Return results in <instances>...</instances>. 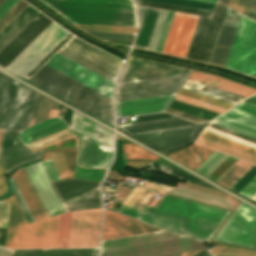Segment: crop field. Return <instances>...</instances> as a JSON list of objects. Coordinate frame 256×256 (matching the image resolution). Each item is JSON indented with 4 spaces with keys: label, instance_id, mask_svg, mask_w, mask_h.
Here are the masks:
<instances>
[{
    "label": "crop field",
    "instance_id": "1",
    "mask_svg": "<svg viewBox=\"0 0 256 256\" xmlns=\"http://www.w3.org/2000/svg\"><path fill=\"white\" fill-rule=\"evenodd\" d=\"M228 213L164 194L155 208L146 206L138 219L170 232L208 241Z\"/></svg>",
    "mask_w": 256,
    "mask_h": 256
},
{
    "label": "crop field",
    "instance_id": "2",
    "mask_svg": "<svg viewBox=\"0 0 256 256\" xmlns=\"http://www.w3.org/2000/svg\"><path fill=\"white\" fill-rule=\"evenodd\" d=\"M44 91L113 125V100L42 65L28 80Z\"/></svg>",
    "mask_w": 256,
    "mask_h": 256
},
{
    "label": "crop field",
    "instance_id": "3",
    "mask_svg": "<svg viewBox=\"0 0 256 256\" xmlns=\"http://www.w3.org/2000/svg\"><path fill=\"white\" fill-rule=\"evenodd\" d=\"M202 248L197 240L159 231L101 241L100 256H163Z\"/></svg>",
    "mask_w": 256,
    "mask_h": 256
},
{
    "label": "crop field",
    "instance_id": "4",
    "mask_svg": "<svg viewBox=\"0 0 256 256\" xmlns=\"http://www.w3.org/2000/svg\"><path fill=\"white\" fill-rule=\"evenodd\" d=\"M73 24L137 27L134 6L42 0Z\"/></svg>",
    "mask_w": 256,
    "mask_h": 256
},
{
    "label": "crop field",
    "instance_id": "5",
    "mask_svg": "<svg viewBox=\"0 0 256 256\" xmlns=\"http://www.w3.org/2000/svg\"><path fill=\"white\" fill-rule=\"evenodd\" d=\"M59 219L60 215L28 225L12 194L5 247H56Z\"/></svg>",
    "mask_w": 256,
    "mask_h": 256
},
{
    "label": "crop field",
    "instance_id": "6",
    "mask_svg": "<svg viewBox=\"0 0 256 256\" xmlns=\"http://www.w3.org/2000/svg\"><path fill=\"white\" fill-rule=\"evenodd\" d=\"M197 123L179 118H168L142 123L119 125V129L141 142L163 152L188 142Z\"/></svg>",
    "mask_w": 256,
    "mask_h": 256
},
{
    "label": "crop field",
    "instance_id": "7",
    "mask_svg": "<svg viewBox=\"0 0 256 256\" xmlns=\"http://www.w3.org/2000/svg\"><path fill=\"white\" fill-rule=\"evenodd\" d=\"M40 12L27 6L4 30L0 32V50L4 48ZM27 25L4 49L0 51V66L6 67L52 21L41 13Z\"/></svg>",
    "mask_w": 256,
    "mask_h": 256
},
{
    "label": "crop field",
    "instance_id": "8",
    "mask_svg": "<svg viewBox=\"0 0 256 256\" xmlns=\"http://www.w3.org/2000/svg\"><path fill=\"white\" fill-rule=\"evenodd\" d=\"M34 92L0 73V129L21 130L27 127Z\"/></svg>",
    "mask_w": 256,
    "mask_h": 256
},
{
    "label": "crop field",
    "instance_id": "9",
    "mask_svg": "<svg viewBox=\"0 0 256 256\" xmlns=\"http://www.w3.org/2000/svg\"><path fill=\"white\" fill-rule=\"evenodd\" d=\"M53 22L6 69L26 77L70 34Z\"/></svg>",
    "mask_w": 256,
    "mask_h": 256
},
{
    "label": "crop field",
    "instance_id": "10",
    "mask_svg": "<svg viewBox=\"0 0 256 256\" xmlns=\"http://www.w3.org/2000/svg\"><path fill=\"white\" fill-rule=\"evenodd\" d=\"M56 52L100 74L101 76L116 82L123 63L90 46L89 44L71 37ZM94 58H91V57Z\"/></svg>",
    "mask_w": 256,
    "mask_h": 256
},
{
    "label": "crop field",
    "instance_id": "11",
    "mask_svg": "<svg viewBox=\"0 0 256 256\" xmlns=\"http://www.w3.org/2000/svg\"><path fill=\"white\" fill-rule=\"evenodd\" d=\"M225 67L256 75V22L241 16Z\"/></svg>",
    "mask_w": 256,
    "mask_h": 256
},
{
    "label": "crop field",
    "instance_id": "12",
    "mask_svg": "<svg viewBox=\"0 0 256 256\" xmlns=\"http://www.w3.org/2000/svg\"><path fill=\"white\" fill-rule=\"evenodd\" d=\"M226 8L218 2L213 19L198 17L185 58L208 63Z\"/></svg>",
    "mask_w": 256,
    "mask_h": 256
},
{
    "label": "crop field",
    "instance_id": "13",
    "mask_svg": "<svg viewBox=\"0 0 256 256\" xmlns=\"http://www.w3.org/2000/svg\"><path fill=\"white\" fill-rule=\"evenodd\" d=\"M215 239L256 247V209L241 202Z\"/></svg>",
    "mask_w": 256,
    "mask_h": 256
},
{
    "label": "crop field",
    "instance_id": "14",
    "mask_svg": "<svg viewBox=\"0 0 256 256\" xmlns=\"http://www.w3.org/2000/svg\"><path fill=\"white\" fill-rule=\"evenodd\" d=\"M44 64L113 99L112 92L115 83L101 77L70 59L55 52Z\"/></svg>",
    "mask_w": 256,
    "mask_h": 256
},
{
    "label": "crop field",
    "instance_id": "15",
    "mask_svg": "<svg viewBox=\"0 0 256 256\" xmlns=\"http://www.w3.org/2000/svg\"><path fill=\"white\" fill-rule=\"evenodd\" d=\"M191 70L130 56L118 84L190 74Z\"/></svg>",
    "mask_w": 256,
    "mask_h": 256
},
{
    "label": "crop field",
    "instance_id": "16",
    "mask_svg": "<svg viewBox=\"0 0 256 256\" xmlns=\"http://www.w3.org/2000/svg\"><path fill=\"white\" fill-rule=\"evenodd\" d=\"M187 77L188 75L118 85L116 102L176 93Z\"/></svg>",
    "mask_w": 256,
    "mask_h": 256
},
{
    "label": "crop field",
    "instance_id": "17",
    "mask_svg": "<svg viewBox=\"0 0 256 256\" xmlns=\"http://www.w3.org/2000/svg\"><path fill=\"white\" fill-rule=\"evenodd\" d=\"M102 209L72 212L69 247H97Z\"/></svg>",
    "mask_w": 256,
    "mask_h": 256
},
{
    "label": "crop field",
    "instance_id": "18",
    "mask_svg": "<svg viewBox=\"0 0 256 256\" xmlns=\"http://www.w3.org/2000/svg\"><path fill=\"white\" fill-rule=\"evenodd\" d=\"M197 17L195 15L174 13L163 53L185 57Z\"/></svg>",
    "mask_w": 256,
    "mask_h": 256
},
{
    "label": "crop field",
    "instance_id": "19",
    "mask_svg": "<svg viewBox=\"0 0 256 256\" xmlns=\"http://www.w3.org/2000/svg\"><path fill=\"white\" fill-rule=\"evenodd\" d=\"M80 140L77 163L82 166L107 168L112 157V148L71 129Z\"/></svg>",
    "mask_w": 256,
    "mask_h": 256
},
{
    "label": "crop field",
    "instance_id": "20",
    "mask_svg": "<svg viewBox=\"0 0 256 256\" xmlns=\"http://www.w3.org/2000/svg\"><path fill=\"white\" fill-rule=\"evenodd\" d=\"M19 132L3 130L0 143V160L6 170L17 164L37 158L40 151L32 152L18 141Z\"/></svg>",
    "mask_w": 256,
    "mask_h": 256
},
{
    "label": "crop field",
    "instance_id": "21",
    "mask_svg": "<svg viewBox=\"0 0 256 256\" xmlns=\"http://www.w3.org/2000/svg\"><path fill=\"white\" fill-rule=\"evenodd\" d=\"M153 231L159 229L106 210L101 240Z\"/></svg>",
    "mask_w": 256,
    "mask_h": 256
},
{
    "label": "crop field",
    "instance_id": "22",
    "mask_svg": "<svg viewBox=\"0 0 256 256\" xmlns=\"http://www.w3.org/2000/svg\"><path fill=\"white\" fill-rule=\"evenodd\" d=\"M49 216L64 213L60 201L40 162L25 167Z\"/></svg>",
    "mask_w": 256,
    "mask_h": 256
},
{
    "label": "crop field",
    "instance_id": "23",
    "mask_svg": "<svg viewBox=\"0 0 256 256\" xmlns=\"http://www.w3.org/2000/svg\"><path fill=\"white\" fill-rule=\"evenodd\" d=\"M241 14L227 8L223 23L237 27ZM221 26L211 59L209 63L224 66L231 42L233 40L236 28L229 26Z\"/></svg>",
    "mask_w": 256,
    "mask_h": 256
},
{
    "label": "crop field",
    "instance_id": "24",
    "mask_svg": "<svg viewBox=\"0 0 256 256\" xmlns=\"http://www.w3.org/2000/svg\"><path fill=\"white\" fill-rule=\"evenodd\" d=\"M172 95L116 103L117 117L163 111Z\"/></svg>",
    "mask_w": 256,
    "mask_h": 256
},
{
    "label": "crop field",
    "instance_id": "25",
    "mask_svg": "<svg viewBox=\"0 0 256 256\" xmlns=\"http://www.w3.org/2000/svg\"><path fill=\"white\" fill-rule=\"evenodd\" d=\"M182 89L195 92L219 101H223L229 104H236L237 102L245 99L246 97L236 95L221 89H217L199 82H195L187 79L185 84L182 86Z\"/></svg>",
    "mask_w": 256,
    "mask_h": 256
},
{
    "label": "crop field",
    "instance_id": "26",
    "mask_svg": "<svg viewBox=\"0 0 256 256\" xmlns=\"http://www.w3.org/2000/svg\"><path fill=\"white\" fill-rule=\"evenodd\" d=\"M66 127H68L67 124L59 117L41 121L26 130L20 131L19 141L25 144Z\"/></svg>",
    "mask_w": 256,
    "mask_h": 256
},
{
    "label": "crop field",
    "instance_id": "27",
    "mask_svg": "<svg viewBox=\"0 0 256 256\" xmlns=\"http://www.w3.org/2000/svg\"><path fill=\"white\" fill-rule=\"evenodd\" d=\"M10 256H97V248L10 250Z\"/></svg>",
    "mask_w": 256,
    "mask_h": 256
},
{
    "label": "crop field",
    "instance_id": "28",
    "mask_svg": "<svg viewBox=\"0 0 256 256\" xmlns=\"http://www.w3.org/2000/svg\"><path fill=\"white\" fill-rule=\"evenodd\" d=\"M189 79L199 81L246 97H248L256 90L247 86H243L231 81H227L215 76L207 75L196 71L192 72V74L189 76Z\"/></svg>",
    "mask_w": 256,
    "mask_h": 256
},
{
    "label": "crop field",
    "instance_id": "29",
    "mask_svg": "<svg viewBox=\"0 0 256 256\" xmlns=\"http://www.w3.org/2000/svg\"><path fill=\"white\" fill-rule=\"evenodd\" d=\"M34 221L45 218V215L33 194L21 168L12 175Z\"/></svg>",
    "mask_w": 256,
    "mask_h": 256
},
{
    "label": "crop field",
    "instance_id": "30",
    "mask_svg": "<svg viewBox=\"0 0 256 256\" xmlns=\"http://www.w3.org/2000/svg\"><path fill=\"white\" fill-rule=\"evenodd\" d=\"M71 126L113 147L112 132L75 112L72 114Z\"/></svg>",
    "mask_w": 256,
    "mask_h": 256
},
{
    "label": "crop field",
    "instance_id": "31",
    "mask_svg": "<svg viewBox=\"0 0 256 256\" xmlns=\"http://www.w3.org/2000/svg\"><path fill=\"white\" fill-rule=\"evenodd\" d=\"M82 30L102 39L131 41L136 28L76 25Z\"/></svg>",
    "mask_w": 256,
    "mask_h": 256
},
{
    "label": "crop field",
    "instance_id": "32",
    "mask_svg": "<svg viewBox=\"0 0 256 256\" xmlns=\"http://www.w3.org/2000/svg\"><path fill=\"white\" fill-rule=\"evenodd\" d=\"M227 157V155L219 153L217 151H215L206 161H204L197 169L196 171L204 174V175H208L217 165H219L225 158ZM236 160V158H233L231 156H229L210 176L209 178L215 180L225 169H227L234 161ZM238 161V159L227 169L229 170L236 162ZM225 170L217 179L216 181L227 171ZM207 176V177H208Z\"/></svg>",
    "mask_w": 256,
    "mask_h": 256
},
{
    "label": "crop field",
    "instance_id": "33",
    "mask_svg": "<svg viewBox=\"0 0 256 256\" xmlns=\"http://www.w3.org/2000/svg\"><path fill=\"white\" fill-rule=\"evenodd\" d=\"M57 116H59V103L37 93L29 126L41 120Z\"/></svg>",
    "mask_w": 256,
    "mask_h": 256
},
{
    "label": "crop field",
    "instance_id": "34",
    "mask_svg": "<svg viewBox=\"0 0 256 256\" xmlns=\"http://www.w3.org/2000/svg\"><path fill=\"white\" fill-rule=\"evenodd\" d=\"M61 180L73 178L74 164V150H58L48 152Z\"/></svg>",
    "mask_w": 256,
    "mask_h": 256
},
{
    "label": "crop field",
    "instance_id": "35",
    "mask_svg": "<svg viewBox=\"0 0 256 256\" xmlns=\"http://www.w3.org/2000/svg\"><path fill=\"white\" fill-rule=\"evenodd\" d=\"M158 11L157 9L139 7L141 28L135 46L147 48Z\"/></svg>",
    "mask_w": 256,
    "mask_h": 256
},
{
    "label": "crop field",
    "instance_id": "36",
    "mask_svg": "<svg viewBox=\"0 0 256 256\" xmlns=\"http://www.w3.org/2000/svg\"><path fill=\"white\" fill-rule=\"evenodd\" d=\"M210 151L211 149L193 144L169 157L193 169Z\"/></svg>",
    "mask_w": 256,
    "mask_h": 256
},
{
    "label": "crop field",
    "instance_id": "37",
    "mask_svg": "<svg viewBox=\"0 0 256 256\" xmlns=\"http://www.w3.org/2000/svg\"><path fill=\"white\" fill-rule=\"evenodd\" d=\"M196 142L256 164L255 154L243 151L202 135H200Z\"/></svg>",
    "mask_w": 256,
    "mask_h": 256
},
{
    "label": "crop field",
    "instance_id": "38",
    "mask_svg": "<svg viewBox=\"0 0 256 256\" xmlns=\"http://www.w3.org/2000/svg\"><path fill=\"white\" fill-rule=\"evenodd\" d=\"M213 123H216L218 125L230 128L232 130H235L256 138V126L237 120L235 118L229 117L227 115H224V114L220 115L213 121Z\"/></svg>",
    "mask_w": 256,
    "mask_h": 256
},
{
    "label": "crop field",
    "instance_id": "39",
    "mask_svg": "<svg viewBox=\"0 0 256 256\" xmlns=\"http://www.w3.org/2000/svg\"><path fill=\"white\" fill-rule=\"evenodd\" d=\"M224 114L256 125V107L248 105L246 103L241 102L238 105L229 109Z\"/></svg>",
    "mask_w": 256,
    "mask_h": 256
},
{
    "label": "crop field",
    "instance_id": "40",
    "mask_svg": "<svg viewBox=\"0 0 256 256\" xmlns=\"http://www.w3.org/2000/svg\"><path fill=\"white\" fill-rule=\"evenodd\" d=\"M251 166L253 164L239 160L218 182L230 188Z\"/></svg>",
    "mask_w": 256,
    "mask_h": 256
},
{
    "label": "crop field",
    "instance_id": "41",
    "mask_svg": "<svg viewBox=\"0 0 256 256\" xmlns=\"http://www.w3.org/2000/svg\"><path fill=\"white\" fill-rule=\"evenodd\" d=\"M143 192H144V189L134 187L133 191L130 193V195L125 199V201L122 204L132 207ZM152 196H153L152 192L145 190V192L142 194V196L139 198V200L136 202L133 208L142 211L143 208L149 202V200L152 198Z\"/></svg>",
    "mask_w": 256,
    "mask_h": 256
},
{
    "label": "crop field",
    "instance_id": "42",
    "mask_svg": "<svg viewBox=\"0 0 256 256\" xmlns=\"http://www.w3.org/2000/svg\"><path fill=\"white\" fill-rule=\"evenodd\" d=\"M220 2L256 20V0H220Z\"/></svg>",
    "mask_w": 256,
    "mask_h": 256
},
{
    "label": "crop field",
    "instance_id": "43",
    "mask_svg": "<svg viewBox=\"0 0 256 256\" xmlns=\"http://www.w3.org/2000/svg\"><path fill=\"white\" fill-rule=\"evenodd\" d=\"M136 2L137 4H142V5L160 7V8H166V9H172V10H178V11H184V12H190V13H196V14H202V15H208V16H211L213 12L210 10L173 5V4H167V3L155 2V1H149V0H136Z\"/></svg>",
    "mask_w": 256,
    "mask_h": 256
},
{
    "label": "crop field",
    "instance_id": "44",
    "mask_svg": "<svg viewBox=\"0 0 256 256\" xmlns=\"http://www.w3.org/2000/svg\"><path fill=\"white\" fill-rule=\"evenodd\" d=\"M142 168L147 169V170L152 169V170H157V171H162V172H166V173L175 174L176 176L185 179L189 183H193V184H197V185H200V186L215 189V188H213L214 186L211 187L212 185L210 186V185L206 184L205 182L201 181L200 179H198L197 177H195L191 174H187V173L175 171V170H172V169L160 167V166L154 165L152 163H149L145 166L139 167L138 169L141 170ZM215 190H217V189H215Z\"/></svg>",
    "mask_w": 256,
    "mask_h": 256
},
{
    "label": "crop field",
    "instance_id": "45",
    "mask_svg": "<svg viewBox=\"0 0 256 256\" xmlns=\"http://www.w3.org/2000/svg\"><path fill=\"white\" fill-rule=\"evenodd\" d=\"M65 211L102 207L101 196L62 204Z\"/></svg>",
    "mask_w": 256,
    "mask_h": 256
},
{
    "label": "crop field",
    "instance_id": "46",
    "mask_svg": "<svg viewBox=\"0 0 256 256\" xmlns=\"http://www.w3.org/2000/svg\"><path fill=\"white\" fill-rule=\"evenodd\" d=\"M209 251H211L213 255L221 256H256L255 251L240 249L226 245H218L210 249Z\"/></svg>",
    "mask_w": 256,
    "mask_h": 256
},
{
    "label": "crop field",
    "instance_id": "47",
    "mask_svg": "<svg viewBox=\"0 0 256 256\" xmlns=\"http://www.w3.org/2000/svg\"><path fill=\"white\" fill-rule=\"evenodd\" d=\"M71 212L61 215L57 247H68Z\"/></svg>",
    "mask_w": 256,
    "mask_h": 256
},
{
    "label": "crop field",
    "instance_id": "48",
    "mask_svg": "<svg viewBox=\"0 0 256 256\" xmlns=\"http://www.w3.org/2000/svg\"><path fill=\"white\" fill-rule=\"evenodd\" d=\"M70 134H72V132L70 131L69 128H67L65 130L59 131L57 133L51 134L49 136L43 137L41 139L35 140L33 142H30V143H27V144H25V146H27L29 149L32 150L34 148H37L39 146H42V145L47 144L49 142L55 141L57 139H60L62 137L70 135Z\"/></svg>",
    "mask_w": 256,
    "mask_h": 256
},
{
    "label": "crop field",
    "instance_id": "49",
    "mask_svg": "<svg viewBox=\"0 0 256 256\" xmlns=\"http://www.w3.org/2000/svg\"><path fill=\"white\" fill-rule=\"evenodd\" d=\"M27 3V2H26ZM19 0L1 19L0 31L4 29L28 4Z\"/></svg>",
    "mask_w": 256,
    "mask_h": 256
},
{
    "label": "crop field",
    "instance_id": "50",
    "mask_svg": "<svg viewBox=\"0 0 256 256\" xmlns=\"http://www.w3.org/2000/svg\"><path fill=\"white\" fill-rule=\"evenodd\" d=\"M168 11L160 10L148 49L155 50Z\"/></svg>",
    "mask_w": 256,
    "mask_h": 256
},
{
    "label": "crop field",
    "instance_id": "51",
    "mask_svg": "<svg viewBox=\"0 0 256 256\" xmlns=\"http://www.w3.org/2000/svg\"><path fill=\"white\" fill-rule=\"evenodd\" d=\"M105 171L94 169H78L76 167L74 178L101 181Z\"/></svg>",
    "mask_w": 256,
    "mask_h": 256
},
{
    "label": "crop field",
    "instance_id": "52",
    "mask_svg": "<svg viewBox=\"0 0 256 256\" xmlns=\"http://www.w3.org/2000/svg\"><path fill=\"white\" fill-rule=\"evenodd\" d=\"M178 94L188 96V97H191V98H194V99H197V100H200V101H204V102L216 105V106H220V107H223V108H226V109H228L232 106V105H229V104H226V103H223V102H219V101H216V100H213V99H210V98H207V97L195 94V93H191V92H188V91H185V90H182V89L179 90Z\"/></svg>",
    "mask_w": 256,
    "mask_h": 256
},
{
    "label": "crop field",
    "instance_id": "53",
    "mask_svg": "<svg viewBox=\"0 0 256 256\" xmlns=\"http://www.w3.org/2000/svg\"><path fill=\"white\" fill-rule=\"evenodd\" d=\"M174 99L181 100V101H184V102H187V103H190V104H193V105H197V106L209 109V110H213V111H216V112H219V113H222L226 110V109L216 107V106H213V105H210V104H207V103H204V102H200V101L188 98V97H184V96H181V95H178V94L175 95Z\"/></svg>",
    "mask_w": 256,
    "mask_h": 256
},
{
    "label": "crop field",
    "instance_id": "54",
    "mask_svg": "<svg viewBox=\"0 0 256 256\" xmlns=\"http://www.w3.org/2000/svg\"><path fill=\"white\" fill-rule=\"evenodd\" d=\"M256 176V165H254L243 177H241L231 189L239 192L250 180Z\"/></svg>",
    "mask_w": 256,
    "mask_h": 256
},
{
    "label": "crop field",
    "instance_id": "55",
    "mask_svg": "<svg viewBox=\"0 0 256 256\" xmlns=\"http://www.w3.org/2000/svg\"><path fill=\"white\" fill-rule=\"evenodd\" d=\"M174 12L169 11L155 51L161 52Z\"/></svg>",
    "mask_w": 256,
    "mask_h": 256
},
{
    "label": "crop field",
    "instance_id": "56",
    "mask_svg": "<svg viewBox=\"0 0 256 256\" xmlns=\"http://www.w3.org/2000/svg\"><path fill=\"white\" fill-rule=\"evenodd\" d=\"M41 164L50 180V182H53V181H59L60 178L51 162V160H45V161H41Z\"/></svg>",
    "mask_w": 256,
    "mask_h": 256
},
{
    "label": "crop field",
    "instance_id": "57",
    "mask_svg": "<svg viewBox=\"0 0 256 256\" xmlns=\"http://www.w3.org/2000/svg\"><path fill=\"white\" fill-rule=\"evenodd\" d=\"M202 135H205V136H207V137H210V138L219 140V141H221V142L230 144V145H232V146H235V147H238V148H241V149H243V150H246V151H249V152H252V153H255V154H256V150H255V149H252V148H250V147H247V146L238 144V143H236V142H233V141L224 139V138H222V137H219V136L210 134V133H208V132L203 131Z\"/></svg>",
    "mask_w": 256,
    "mask_h": 256
},
{
    "label": "crop field",
    "instance_id": "58",
    "mask_svg": "<svg viewBox=\"0 0 256 256\" xmlns=\"http://www.w3.org/2000/svg\"><path fill=\"white\" fill-rule=\"evenodd\" d=\"M205 131L211 132V133H213V134H216V135L225 137V138H227V139H230V140L239 142V143H241V144H244V145H247V146H250V147H253V148L256 149V144H253V143H250V142H248V141L239 139V138H237V137L228 135V134H226V133H223V132L214 130V129H212V128L207 127V128L205 129Z\"/></svg>",
    "mask_w": 256,
    "mask_h": 256
},
{
    "label": "crop field",
    "instance_id": "59",
    "mask_svg": "<svg viewBox=\"0 0 256 256\" xmlns=\"http://www.w3.org/2000/svg\"><path fill=\"white\" fill-rule=\"evenodd\" d=\"M209 127H212V128H214V129H217V130L226 132V133H228V134L237 136V137H239V138L248 140V141H250V142L256 143V139H254V138H252V137H249V136L243 135V134H241V133L232 131V130H230V129H227V128L218 126V125H216V124L211 123V124L209 125Z\"/></svg>",
    "mask_w": 256,
    "mask_h": 256
},
{
    "label": "crop field",
    "instance_id": "60",
    "mask_svg": "<svg viewBox=\"0 0 256 256\" xmlns=\"http://www.w3.org/2000/svg\"><path fill=\"white\" fill-rule=\"evenodd\" d=\"M63 1H79V2H95V3H111V4L134 5L132 0H63Z\"/></svg>",
    "mask_w": 256,
    "mask_h": 256
},
{
    "label": "crop field",
    "instance_id": "61",
    "mask_svg": "<svg viewBox=\"0 0 256 256\" xmlns=\"http://www.w3.org/2000/svg\"><path fill=\"white\" fill-rule=\"evenodd\" d=\"M256 192V177L250 181L239 193L251 197Z\"/></svg>",
    "mask_w": 256,
    "mask_h": 256
},
{
    "label": "crop field",
    "instance_id": "62",
    "mask_svg": "<svg viewBox=\"0 0 256 256\" xmlns=\"http://www.w3.org/2000/svg\"><path fill=\"white\" fill-rule=\"evenodd\" d=\"M137 117H138V121H144V120H152V119L174 117V116L166 113H158V114L141 115Z\"/></svg>",
    "mask_w": 256,
    "mask_h": 256
},
{
    "label": "crop field",
    "instance_id": "63",
    "mask_svg": "<svg viewBox=\"0 0 256 256\" xmlns=\"http://www.w3.org/2000/svg\"><path fill=\"white\" fill-rule=\"evenodd\" d=\"M165 111L176 114V115H179V116H183V117L195 120V121H199V122L207 121L205 119H201V118H198V117H195V116H192V115H188V114H185V113H182V112H179V111H176V110H172V109H169V108H167Z\"/></svg>",
    "mask_w": 256,
    "mask_h": 256
},
{
    "label": "crop field",
    "instance_id": "64",
    "mask_svg": "<svg viewBox=\"0 0 256 256\" xmlns=\"http://www.w3.org/2000/svg\"><path fill=\"white\" fill-rule=\"evenodd\" d=\"M18 0H7L0 7V18L17 2Z\"/></svg>",
    "mask_w": 256,
    "mask_h": 256
},
{
    "label": "crop field",
    "instance_id": "65",
    "mask_svg": "<svg viewBox=\"0 0 256 256\" xmlns=\"http://www.w3.org/2000/svg\"><path fill=\"white\" fill-rule=\"evenodd\" d=\"M119 213H123V214L137 218V216L140 214V211L133 210L122 205L121 209L119 210Z\"/></svg>",
    "mask_w": 256,
    "mask_h": 256
},
{
    "label": "crop field",
    "instance_id": "66",
    "mask_svg": "<svg viewBox=\"0 0 256 256\" xmlns=\"http://www.w3.org/2000/svg\"><path fill=\"white\" fill-rule=\"evenodd\" d=\"M22 170H23V172H24V174H25V176H26V178H27V180H28V182H29V184H30V186H31V188H32V190H33V192L35 193V195H36V197H37V199H38V201H39V203H40V205H41V207H42V209H43V211H44L46 217H48V214H47V212H46V210H45V208H44V206H43V204H42V202H41V200H40V198H39V196H38V194H37V192H36V190H35V188H34V186H33V184H32V182H31V180H30V178H29V176H28V174H27L25 168H22ZM34 193H33V194H34Z\"/></svg>",
    "mask_w": 256,
    "mask_h": 256
},
{
    "label": "crop field",
    "instance_id": "67",
    "mask_svg": "<svg viewBox=\"0 0 256 256\" xmlns=\"http://www.w3.org/2000/svg\"><path fill=\"white\" fill-rule=\"evenodd\" d=\"M5 170L0 162V194L4 193L6 190L3 175L5 174Z\"/></svg>",
    "mask_w": 256,
    "mask_h": 256
},
{
    "label": "crop field",
    "instance_id": "68",
    "mask_svg": "<svg viewBox=\"0 0 256 256\" xmlns=\"http://www.w3.org/2000/svg\"><path fill=\"white\" fill-rule=\"evenodd\" d=\"M152 163H155V164L160 165V166H164V167L176 169V170H179V171H183V170H181L180 168H178V167H176V166H174V165H169V164H167V163L158 162V161H153ZM183 172H185V171H183Z\"/></svg>",
    "mask_w": 256,
    "mask_h": 256
},
{
    "label": "crop field",
    "instance_id": "69",
    "mask_svg": "<svg viewBox=\"0 0 256 256\" xmlns=\"http://www.w3.org/2000/svg\"><path fill=\"white\" fill-rule=\"evenodd\" d=\"M243 102H246V103H248V104H251V105L256 106V98L253 97V96L247 98V99L244 100Z\"/></svg>",
    "mask_w": 256,
    "mask_h": 256
},
{
    "label": "crop field",
    "instance_id": "70",
    "mask_svg": "<svg viewBox=\"0 0 256 256\" xmlns=\"http://www.w3.org/2000/svg\"><path fill=\"white\" fill-rule=\"evenodd\" d=\"M195 252H197V251L181 253V254H175V255H170V256H190L191 254H193Z\"/></svg>",
    "mask_w": 256,
    "mask_h": 256
},
{
    "label": "crop field",
    "instance_id": "71",
    "mask_svg": "<svg viewBox=\"0 0 256 256\" xmlns=\"http://www.w3.org/2000/svg\"><path fill=\"white\" fill-rule=\"evenodd\" d=\"M0 256H8V250L0 248Z\"/></svg>",
    "mask_w": 256,
    "mask_h": 256
},
{
    "label": "crop field",
    "instance_id": "72",
    "mask_svg": "<svg viewBox=\"0 0 256 256\" xmlns=\"http://www.w3.org/2000/svg\"><path fill=\"white\" fill-rule=\"evenodd\" d=\"M132 161H144V162H151L152 160H143V159H130Z\"/></svg>",
    "mask_w": 256,
    "mask_h": 256
},
{
    "label": "crop field",
    "instance_id": "73",
    "mask_svg": "<svg viewBox=\"0 0 256 256\" xmlns=\"http://www.w3.org/2000/svg\"><path fill=\"white\" fill-rule=\"evenodd\" d=\"M200 1H206V2L216 3L217 0H200Z\"/></svg>",
    "mask_w": 256,
    "mask_h": 256
},
{
    "label": "crop field",
    "instance_id": "74",
    "mask_svg": "<svg viewBox=\"0 0 256 256\" xmlns=\"http://www.w3.org/2000/svg\"><path fill=\"white\" fill-rule=\"evenodd\" d=\"M250 199L256 200V193Z\"/></svg>",
    "mask_w": 256,
    "mask_h": 256
},
{
    "label": "crop field",
    "instance_id": "75",
    "mask_svg": "<svg viewBox=\"0 0 256 256\" xmlns=\"http://www.w3.org/2000/svg\"><path fill=\"white\" fill-rule=\"evenodd\" d=\"M6 0H0V5L3 3V2H5Z\"/></svg>",
    "mask_w": 256,
    "mask_h": 256
},
{
    "label": "crop field",
    "instance_id": "76",
    "mask_svg": "<svg viewBox=\"0 0 256 256\" xmlns=\"http://www.w3.org/2000/svg\"><path fill=\"white\" fill-rule=\"evenodd\" d=\"M1 132H2V130H0V137H1Z\"/></svg>",
    "mask_w": 256,
    "mask_h": 256
},
{
    "label": "crop field",
    "instance_id": "77",
    "mask_svg": "<svg viewBox=\"0 0 256 256\" xmlns=\"http://www.w3.org/2000/svg\"><path fill=\"white\" fill-rule=\"evenodd\" d=\"M254 95H255V94H254ZM254 95H253V96H254Z\"/></svg>",
    "mask_w": 256,
    "mask_h": 256
}]
</instances>
